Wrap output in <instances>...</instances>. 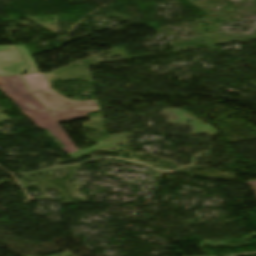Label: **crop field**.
Here are the masks:
<instances>
[{
    "instance_id": "ac0d7876",
    "label": "crop field",
    "mask_w": 256,
    "mask_h": 256,
    "mask_svg": "<svg viewBox=\"0 0 256 256\" xmlns=\"http://www.w3.org/2000/svg\"><path fill=\"white\" fill-rule=\"evenodd\" d=\"M27 68L16 46L0 47V76L22 74Z\"/></svg>"
},
{
    "instance_id": "8a807250",
    "label": "crop field",
    "mask_w": 256,
    "mask_h": 256,
    "mask_svg": "<svg viewBox=\"0 0 256 256\" xmlns=\"http://www.w3.org/2000/svg\"><path fill=\"white\" fill-rule=\"evenodd\" d=\"M7 84L0 87L40 129L48 130L65 145L68 154L77 151L58 123L86 117L85 113L98 111L94 101L74 102L54 93L42 74L4 77ZM50 109L51 111H47Z\"/></svg>"
},
{
    "instance_id": "34b2d1b8",
    "label": "crop field",
    "mask_w": 256,
    "mask_h": 256,
    "mask_svg": "<svg viewBox=\"0 0 256 256\" xmlns=\"http://www.w3.org/2000/svg\"><path fill=\"white\" fill-rule=\"evenodd\" d=\"M23 57L25 58L29 68L25 71L26 74H31V73H39L32 58L30 57L28 51L26 50L24 45L17 46Z\"/></svg>"
}]
</instances>
